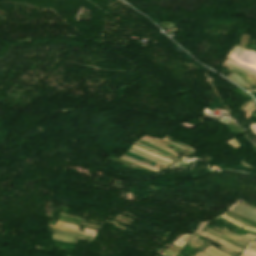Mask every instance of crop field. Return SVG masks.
Listing matches in <instances>:
<instances>
[{"instance_id":"crop-field-7","label":"crop field","mask_w":256,"mask_h":256,"mask_svg":"<svg viewBox=\"0 0 256 256\" xmlns=\"http://www.w3.org/2000/svg\"><path fill=\"white\" fill-rule=\"evenodd\" d=\"M168 249L178 254L179 250L182 249V248L173 246V247H169ZM162 255H164V256H176V254H174V253H172V252H170L168 250H165L162 253Z\"/></svg>"},{"instance_id":"crop-field-9","label":"crop field","mask_w":256,"mask_h":256,"mask_svg":"<svg viewBox=\"0 0 256 256\" xmlns=\"http://www.w3.org/2000/svg\"><path fill=\"white\" fill-rule=\"evenodd\" d=\"M226 62H228V63H230V64H232V65H235V66H237V67H240V68H242V69H245V70H247V71H249V72H252V73H255L256 74V71L255 70H253V69H251V68H248V67H246V66H243V65H241V64H239V63H236V62H234V61H232V60H227Z\"/></svg>"},{"instance_id":"crop-field-23","label":"crop field","mask_w":256,"mask_h":256,"mask_svg":"<svg viewBox=\"0 0 256 256\" xmlns=\"http://www.w3.org/2000/svg\"><path fill=\"white\" fill-rule=\"evenodd\" d=\"M245 229H246V230H249V231L256 232V230H254V229H250V228H247V227H245Z\"/></svg>"},{"instance_id":"crop-field-4","label":"crop field","mask_w":256,"mask_h":256,"mask_svg":"<svg viewBox=\"0 0 256 256\" xmlns=\"http://www.w3.org/2000/svg\"><path fill=\"white\" fill-rule=\"evenodd\" d=\"M140 139L143 140V141H146V142H148V143H151V144H153V145H156V146H158V147H160V148H162V149H164V150H166V151H168V152H170V153H172V154H174V155L177 156L176 153L172 152V151H175V150H173V149H171V148H169V147H167V146H165V145H163V144H160V143H158V142L152 141V140L147 139V138H145V137H142V138H140ZM170 150H172V151H170ZM175 152H177V151H175ZM177 153H178V152H177Z\"/></svg>"},{"instance_id":"crop-field-14","label":"crop field","mask_w":256,"mask_h":256,"mask_svg":"<svg viewBox=\"0 0 256 256\" xmlns=\"http://www.w3.org/2000/svg\"><path fill=\"white\" fill-rule=\"evenodd\" d=\"M213 228H215V227H213ZM215 229L219 230V231L222 232L223 234H225V235H227V236H229V237H231V238H233V239H235V240H237V241L244 242V243H248V244L251 243V242H249V241L242 240V239H238V238H235V237H233V236H230V235H228L227 233H225L224 231H222V230H220V229H218V228H215Z\"/></svg>"},{"instance_id":"crop-field-13","label":"crop field","mask_w":256,"mask_h":256,"mask_svg":"<svg viewBox=\"0 0 256 256\" xmlns=\"http://www.w3.org/2000/svg\"><path fill=\"white\" fill-rule=\"evenodd\" d=\"M55 239L57 240H62V241H67V242H72L74 243V239L72 238H68V237H62V236H56L54 235Z\"/></svg>"},{"instance_id":"crop-field-19","label":"crop field","mask_w":256,"mask_h":256,"mask_svg":"<svg viewBox=\"0 0 256 256\" xmlns=\"http://www.w3.org/2000/svg\"><path fill=\"white\" fill-rule=\"evenodd\" d=\"M122 156H124V157H126V158H129V159H131V160H134V161H136V162H139V163H141V164H144V163H142V162H140V161H137V160L132 159V158H130V157H127V156H125V155H122ZM144 165L149 166V165H147V164H144ZM149 167H152V166H149ZM152 168H154V167H152ZM155 169H157V168H155ZM158 170H159V169H158Z\"/></svg>"},{"instance_id":"crop-field-15","label":"crop field","mask_w":256,"mask_h":256,"mask_svg":"<svg viewBox=\"0 0 256 256\" xmlns=\"http://www.w3.org/2000/svg\"><path fill=\"white\" fill-rule=\"evenodd\" d=\"M133 147L138 148V149H140V150H142V151H144V152H147V153H149V154H151V155H153V156H155V157H158V158H160V159H163V160H166V161H168V162L173 163L172 161H169V160H167V159L161 158L162 156L159 157V156L155 155L154 153H152V152H150V151L144 150V149L139 148V147H137V146H135V145H133Z\"/></svg>"},{"instance_id":"crop-field-32","label":"crop field","mask_w":256,"mask_h":256,"mask_svg":"<svg viewBox=\"0 0 256 256\" xmlns=\"http://www.w3.org/2000/svg\"><path fill=\"white\" fill-rule=\"evenodd\" d=\"M247 250H248V249H247ZM249 251H250V250H249ZM247 252H248V251H247ZM251 252H252V251H251ZM251 252H249V253H251ZM253 253H254V252H253ZM253 253H251V254H253ZM255 254H256V253H255ZM255 254H254V255H255Z\"/></svg>"},{"instance_id":"crop-field-21","label":"crop field","mask_w":256,"mask_h":256,"mask_svg":"<svg viewBox=\"0 0 256 256\" xmlns=\"http://www.w3.org/2000/svg\"><path fill=\"white\" fill-rule=\"evenodd\" d=\"M120 159H124V160H127V161H130V162H133V163H136V162H134V161H131V160H129V159H126V158H124V157H121L120 156ZM136 164H139V163H136ZM139 165H141V164H139ZM142 166H144V165H142ZM146 167V166H145ZM149 168V167H148ZM152 169V168H151ZM155 170V169H154ZM158 171V170H157Z\"/></svg>"},{"instance_id":"crop-field-24","label":"crop field","mask_w":256,"mask_h":256,"mask_svg":"<svg viewBox=\"0 0 256 256\" xmlns=\"http://www.w3.org/2000/svg\"><path fill=\"white\" fill-rule=\"evenodd\" d=\"M195 256H205V255H203L202 253H198L197 255H195Z\"/></svg>"},{"instance_id":"crop-field-6","label":"crop field","mask_w":256,"mask_h":256,"mask_svg":"<svg viewBox=\"0 0 256 256\" xmlns=\"http://www.w3.org/2000/svg\"><path fill=\"white\" fill-rule=\"evenodd\" d=\"M204 251H206L207 253H209V254H211V255H213V256H228V255H226V254H224V253H222L221 251H219V250H217V249H215V248H213V247H208L206 250H204Z\"/></svg>"},{"instance_id":"crop-field-28","label":"crop field","mask_w":256,"mask_h":256,"mask_svg":"<svg viewBox=\"0 0 256 256\" xmlns=\"http://www.w3.org/2000/svg\"><path fill=\"white\" fill-rule=\"evenodd\" d=\"M208 233H209V232H208ZM210 234H211V233H210ZM212 235H213V234H212ZM214 235H215V234H214ZM214 235H213V236H214ZM215 237H216V236H215ZM217 238H218V237H217ZM219 239H220V238H219ZM221 240H222V239H221ZM224 240H225V239H224ZM224 240H223V241H224ZM225 242H226V241H225ZM227 243H228V242H227ZM229 244H230V243H229ZM231 245H232V244H231ZM233 246H234V245H233ZM236 247H237V246H236Z\"/></svg>"},{"instance_id":"crop-field-25","label":"crop field","mask_w":256,"mask_h":256,"mask_svg":"<svg viewBox=\"0 0 256 256\" xmlns=\"http://www.w3.org/2000/svg\"><path fill=\"white\" fill-rule=\"evenodd\" d=\"M249 249H251V250H253V251H255V252H256V249H255V248L249 247Z\"/></svg>"},{"instance_id":"crop-field-10","label":"crop field","mask_w":256,"mask_h":256,"mask_svg":"<svg viewBox=\"0 0 256 256\" xmlns=\"http://www.w3.org/2000/svg\"><path fill=\"white\" fill-rule=\"evenodd\" d=\"M225 63H226V62H225ZM225 65H227V68H230V69H232V70L239 71V72L245 73V74H247V75H250V74H251V75H253V76L256 77L255 74H252V73H249V72H247V71H244V70H242V69H240V68L234 67V66H232V65H230V64H228V63H226Z\"/></svg>"},{"instance_id":"crop-field-30","label":"crop field","mask_w":256,"mask_h":256,"mask_svg":"<svg viewBox=\"0 0 256 256\" xmlns=\"http://www.w3.org/2000/svg\"><path fill=\"white\" fill-rule=\"evenodd\" d=\"M136 144H139V143L136 142ZM139 145H141V144H139ZM141 146H143V145H141ZM144 147H145V146H144ZM147 148H148V147H147ZM149 149H150V148H149ZM151 150H152V149H151ZM164 156H165V155H164Z\"/></svg>"},{"instance_id":"crop-field-1","label":"crop field","mask_w":256,"mask_h":256,"mask_svg":"<svg viewBox=\"0 0 256 256\" xmlns=\"http://www.w3.org/2000/svg\"><path fill=\"white\" fill-rule=\"evenodd\" d=\"M50 227H55V228H59V229H63V230H69V231H74V232H79L77 231L78 227L77 225H73V224H68V223H64V222H60L57 221L55 226L49 225ZM82 233V232H79ZM96 233L95 230H91V229H85V232L83 234H87V235H91L94 236V234Z\"/></svg>"},{"instance_id":"crop-field-3","label":"crop field","mask_w":256,"mask_h":256,"mask_svg":"<svg viewBox=\"0 0 256 256\" xmlns=\"http://www.w3.org/2000/svg\"><path fill=\"white\" fill-rule=\"evenodd\" d=\"M131 149H133V150H135V151H137V152H139V153H141V154H143V155H145V156H148V157H150V158H153V159H156V160H158V161H161V162H163V163H165V164H167V165H170V163H168V162H165V161H162V160H160V159H157V158H155V157H153V156H151V155H149V154H146V153H144V152H142V151H140V150H138V149H135V148H133V147H131ZM129 150V151H131V152H133V153H135V154H137V155H140V156H142V157H145V156H143V155H141V154H139V153H137V152H135V151H133V150ZM148 157H145V158H147V159H150V158H148ZM153 159H150V160H152V161H154V162H157V163H159V164H162V165H164V166H167V165H165V164H163V163H161V162H158V161H156V160H153Z\"/></svg>"},{"instance_id":"crop-field-8","label":"crop field","mask_w":256,"mask_h":256,"mask_svg":"<svg viewBox=\"0 0 256 256\" xmlns=\"http://www.w3.org/2000/svg\"><path fill=\"white\" fill-rule=\"evenodd\" d=\"M207 230H209V231H211V232H213V233L219 235V236L222 237V238L228 239V240H230V241H232V242H234V243H236V244H239V245H241V246H244V247H246V248H247V246H248V244H244V243L237 242V241H235V240H233V239H230V238H228V237H226V236H224V235L218 233V232L215 231V230H212V229H209V228H207Z\"/></svg>"},{"instance_id":"crop-field-18","label":"crop field","mask_w":256,"mask_h":256,"mask_svg":"<svg viewBox=\"0 0 256 256\" xmlns=\"http://www.w3.org/2000/svg\"><path fill=\"white\" fill-rule=\"evenodd\" d=\"M224 229V228H223ZM225 231H227L228 233H230V234H232V235H235V234H233V233H231V232H229L228 230H226V229H224ZM235 236H237V235H235ZM237 237H239V238H243V237H246V238H251V239H255V238H253V237H249V236H245V235H243V237H241V236H237ZM246 238H243V239H246ZM247 240H250V239H247ZM252 241V240H251Z\"/></svg>"},{"instance_id":"crop-field-33","label":"crop field","mask_w":256,"mask_h":256,"mask_svg":"<svg viewBox=\"0 0 256 256\" xmlns=\"http://www.w3.org/2000/svg\"><path fill=\"white\" fill-rule=\"evenodd\" d=\"M189 246L194 247V246H192V245H190V244H189ZM195 248H196V247H195Z\"/></svg>"},{"instance_id":"crop-field-29","label":"crop field","mask_w":256,"mask_h":256,"mask_svg":"<svg viewBox=\"0 0 256 256\" xmlns=\"http://www.w3.org/2000/svg\"><path fill=\"white\" fill-rule=\"evenodd\" d=\"M245 254H246V253H245ZM245 254H242L241 256H247V255H248V254H247V255H245ZM249 256H251V255H249Z\"/></svg>"},{"instance_id":"crop-field-12","label":"crop field","mask_w":256,"mask_h":256,"mask_svg":"<svg viewBox=\"0 0 256 256\" xmlns=\"http://www.w3.org/2000/svg\"><path fill=\"white\" fill-rule=\"evenodd\" d=\"M230 76H232V77H234V78H236V79H238V80H240V81H242V82H244L242 79H240L237 75H235V74H232V73H230ZM226 78H228V79H230V80H232V81H234V82H236V83H238V84H241V85H245V84H243V83H241V82H239V81H237V80H235V79H233V78H231V77H226ZM245 83V82H244ZM247 84V83H246ZM245 86H247V85H245Z\"/></svg>"},{"instance_id":"crop-field-20","label":"crop field","mask_w":256,"mask_h":256,"mask_svg":"<svg viewBox=\"0 0 256 256\" xmlns=\"http://www.w3.org/2000/svg\"><path fill=\"white\" fill-rule=\"evenodd\" d=\"M195 235H192L190 238H188L189 237V235H186V236H184L181 240H185V239H187L185 242H187V241H189L192 237H194Z\"/></svg>"},{"instance_id":"crop-field-2","label":"crop field","mask_w":256,"mask_h":256,"mask_svg":"<svg viewBox=\"0 0 256 256\" xmlns=\"http://www.w3.org/2000/svg\"><path fill=\"white\" fill-rule=\"evenodd\" d=\"M236 204H238V205H240V206H242V207H244V208H246V209H249V210H252V211L256 212V210L247 208V207H245V206H243V205H241V204H239V203H237V202H236ZM236 204H234V206H237V207H239V208H242V207H240V206H238V205H236ZM234 206H232L231 210H233V211H235V212H237V213H239V214H241V215H244V216H246V217H248V218H250V219L256 221V215H254V214H256V213L247 210V211H249V212H251V213H254V214H251V213L245 211L246 209H245V210H242V209H244V208L239 209V208L234 207Z\"/></svg>"},{"instance_id":"crop-field-22","label":"crop field","mask_w":256,"mask_h":256,"mask_svg":"<svg viewBox=\"0 0 256 256\" xmlns=\"http://www.w3.org/2000/svg\"><path fill=\"white\" fill-rule=\"evenodd\" d=\"M225 215H227V214H225ZM227 216H229V215H227ZM229 217H231V216H229ZM231 218H233V219H235V220H237V221H239V222H241V223H243V224H246V223H244V222H242V221H240V220H238V219H236V218H234V217H231ZM247 226H249V227H252V226H250V225H248V224H246ZM253 228H256V227H253Z\"/></svg>"},{"instance_id":"crop-field-27","label":"crop field","mask_w":256,"mask_h":256,"mask_svg":"<svg viewBox=\"0 0 256 256\" xmlns=\"http://www.w3.org/2000/svg\"><path fill=\"white\" fill-rule=\"evenodd\" d=\"M175 244H176V245H179V246H181V247H183V245H181V244H179V243H177V242H175Z\"/></svg>"},{"instance_id":"crop-field-26","label":"crop field","mask_w":256,"mask_h":256,"mask_svg":"<svg viewBox=\"0 0 256 256\" xmlns=\"http://www.w3.org/2000/svg\"><path fill=\"white\" fill-rule=\"evenodd\" d=\"M202 253H204L205 255H207V256H211V255H209V254H207V253H205L204 251H201Z\"/></svg>"},{"instance_id":"crop-field-17","label":"crop field","mask_w":256,"mask_h":256,"mask_svg":"<svg viewBox=\"0 0 256 256\" xmlns=\"http://www.w3.org/2000/svg\"><path fill=\"white\" fill-rule=\"evenodd\" d=\"M201 243H203V241H201V240H199L197 238H195L194 240L191 241V244H193V245H195L197 247H199Z\"/></svg>"},{"instance_id":"crop-field-11","label":"crop field","mask_w":256,"mask_h":256,"mask_svg":"<svg viewBox=\"0 0 256 256\" xmlns=\"http://www.w3.org/2000/svg\"><path fill=\"white\" fill-rule=\"evenodd\" d=\"M256 110V106L255 104L253 103L248 109L245 110V115H246V118L247 120L249 119V117L251 116V112L255 111Z\"/></svg>"},{"instance_id":"crop-field-16","label":"crop field","mask_w":256,"mask_h":256,"mask_svg":"<svg viewBox=\"0 0 256 256\" xmlns=\"http://www.w3.org/2000/svg\"><path fill=\"white\" fill-rule=\"evenodd\" d=\"M221 217L224 218V219H226V220H228L229 222H231V223H233V224L239 226V227L244 226V225H242V224H240V223H238V222H236V221H234V220H232V219H230V218H228V217H226V216H224V215H222Z\"/></svg>"},{"instance_id":"crop-field-5","label":"crop field","mask_w":256,"mask_h":256,"mask_svg":"<svg viewBox=\"0 0 256 256\" xmlns=\"http://www.w3.org/2000/svg\"><path fill=\"white\" fill-rule=\"evenodd\" d=\"M202 233H204V234L210 236L211 238H213V239H215V240H217V241H219V242H221V243H224V242H222V241L216 239L215 237L211 236L210 234H208V233H206V232H202ZM204 234H201V236H204V237H207V238L211 239L210 237H208V236H206V235H204ZM213 239H212V240H213ZM215 240H214V241H215ZM217 241H215V242L218 243V244H220V245H222L223 247H225V248H227V249L233 250V251H235V252H237V253H238L239 251H242V250H240V249H238V248H236V247L231 246V247H233V248H235V249H237V250H239V251L234 250V249H232V248L226 246V245H228V244L224 243V244H226V245H224V244H221V243H219V242H217ZM229 246H230V245H229Z\"/></svg>"},{"instance_id":"crop-field-31","label":"crop field","mask_w":256,"mask_h":256,"mask_svg":"<svg viewBox=\"0 0 256 256\" xmlns=\"http://www.w3.org/2000/svg\"><path fill=\"white\" fill-rule=\"evenodd\" d=\"M255 243H256V242H255ZM252 246H253V247H256V244H253Z\"/></svg>"}]
</instances>
